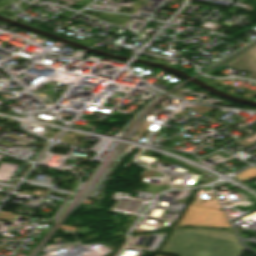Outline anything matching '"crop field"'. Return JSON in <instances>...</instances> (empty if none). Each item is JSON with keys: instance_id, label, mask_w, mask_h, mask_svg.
I'll list each match as a JSON object with an SVG mask.
<instances>
[{"instance_id": "5", "label": "crop field", "mask_w": 256, "mask_h": 256, "mask_svg": "<svg viewBox=\"0 0 256 256\" xmlns=\"http://www.w3.org/2000/svg\"><path fill=\"white\" fill-rule=\"evenodd\" d=\"M11 1L10 0H3L0 2V7L3 6V5H6V4H10Z\"/></svg>"}, {"instance_id": "1", "label": "crop field", "mask_w": 256, "mask_h": 256, "mask_svg": "<svg viewBox=\"0 0 256 256\" xmlns=\"http://www.w3.org/2000/svg\"><path fill=\"white\" fill-rule=\"evenodd\" d=\"M234 233L207 229L174 230L162 252L180 256H239Z\"/></svg>"}, {"instance_id": "4", "label": "crop field", "mask_w": 256, "mask_h": 256, "mask_svg": "<svg viewBox=\"0 0 256 256\" xmlns=\"http://www.w3.org/2000/svg\"><path fill=\"white\" fill-rule=\"evenodd\" d=\"M237 177L240 179V181L245 182L251 178H256V168L252 167L239 175Z\"/></svg>"}, {"instance_id": "2", "label": "crop field", "mask_w": 256, "mask_h": 256, "mask_svg": "<svg viewBox=\"0 0 256 256\" xmlns=\"http://www.w3.org/2000/svg\"><path fill=\"white\" fill-rule=\"evenodd\" d=\"M216 226L231 228L222 210L205 208L190 204L185 216L177 227Z\"/></svg>"}, {"instance_id": "3", "label": "crop field", "mask_w": 256, "mask_h": 256, "mask_svg": "<svg viewBox=\"0 0 256 256\" xmlns=\"http://www.w3.org/2000/svg\"><path fill=\"white\" fill-rule=\"evenodd\" d=\"M224 67L251 73L247 78L256 80V45Z\"/></svg>"}]
</instances>
